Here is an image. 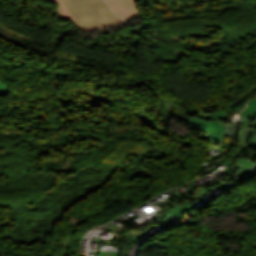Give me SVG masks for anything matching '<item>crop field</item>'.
I'll list each match as a JSON object with an SVG mask.
<instances>
[{
  "label": "crop field",
  "instance_id": "ac0d7876",
  "mask_svg": "<svg viewBox=\"0 0 256 256\" xmlns=\"http://www.w3.org/2000/svg\"><path fill=\"white\" fill-rule=\"evenodd\" d=\"M227 119L229 118L226 111H215L209 114L199 112L198 117H194L185 122L215 139L216 142L220 143L221 147L225 149L227 147L225 137L228 136L225 128Z\"/></svg>",
  "mask_w": 256,
  "mask_h": 256
},
{
  "label": "crop field",
  "instance_id": "8a807250",
  "mask_svg": "<svg viewBox=\"0 0 256 256\" xmlns=\"http://www.w3.org/2000/svg\"><path fill=\"white\" fill-rule=\"evenodd\" d=\"M58 4L59 20H71L81 32L99 31L123 23L104 0H48Z\"/></svg>",
  "mask_w": 256,
  "mask_h": 256
},
{
  "label": "crop field",
  "instance_id": "34b2d1b8",
  "mask_svg": "<svg viewBox=\"0 0 256 256\" xmlns=\"http://www.w3.org/2000/svg\"><path fill=\"white\" fill-rule=\"evenodd\" d=\"M253 163L249 162L245 158L236 161L237 171L227 177L226 179L220 181L224 185L231 188L233 185L256 176V166H252Z\"/></svg>",
  "mask_w": 256,
  "mask_h": 256
},
{
  "label": "crop field",
  "instance_id": "e52e79f7",
  "mask_svg": "<svg viewBox=\"0 0 256 256\" xmlns=\"http://www.w3.org/2000/svg\"><path fill=\"white\" fill-rule=\"evenodd\" d=\"M250 142H251V144L256 146V131L254 132L253 137Z\"/></svg>",
  "mask_w": 256,
  "mask_h": 256
},
{
  "label": "crop field",
  "instance_id": "f4fd0767",
  "mask_svg": "<svg viewBox=\"0 0 256 256\" xmlns=\"http://www.w3.org/2000/svg\"><path fill=\"white\" fill-rule=\"evenodd\" d=\"M106 2L124 20L139 14L135 0H106Z\"/></svg>",
  "mask_w": 256,
  "mask_h": 256
},
{
  "label": "crop field",
  "instance_id": "d8731c3e",
  "mask_svg": "<svg viewBox=\"0 0 256 256\" xmlns=\"http://www.w3.org/2000/svg\"><path fill=\"white\" fill-rule=\"evenodd\" d=\"M139 16H141V15H137V16L131 17V18L127 19L126 21L131 20V19L136 18V17H139Z\"/></svg>",
  "mask_w": 256,
  "mask_h": 256
},
{
  "label": "crop field",
  "instance_id": "dd49c442",
  "mask_svg": "<svg viewBox=\"0 0 256 256\" xmlns=\"http://www.w3.org/2000/svg\"><path fill=\"white\" fill-rule=\"evenodd\" d=\"M8 92V87L4 83L0 82V96H7Z\"/></svg>",
  "mask_w": 256,
  "mask_h": 256
},
{
  "label": "crop field",
  "instance_id": "412701ff",
  "mask_svg": "<svg viewBox=\"0 0 256 256\" xmlns=\"http://www.w3.org/2000/svg\"><path fill=\"white\" fill-rule=\"evenodd\" d=\"M249 106L243 110L239 115L245 117L250 120L244 126L256 128V97L248 104ZM241 125L234 124L230 122V133L232 139V145H236L237 135L239 133Z\"/></svg>",
  "mask_w": 256,
  "mask_h": 256
}]
</instances>
